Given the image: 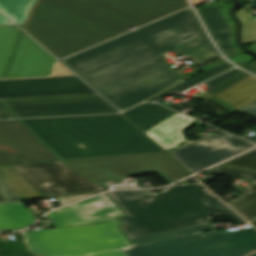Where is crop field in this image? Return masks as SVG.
I'll use <instances>...</instances> for the list:
<instances>
[{"instance_id": "cbeb9de0", "label": "crop field", "mask_w": 256, "mask_h": 256, "mask_svg": "<svg viewBox=\"0 0 256 256\" xmlns=\"http://www.w3.org/2000/svg\"><path fill=\"white\" fill-rule=\"evenodd\" d=\"M223 165L256 171V150L226 162ZM208 172L252 181L251 186L239 191L240 193H244L243 195L227 202V204L248 221L256 218V173L223 166H219Z\"/></svg>"}, {"instance_id": "120bbe31", "label": "crop field", "mask_w": 256, "mask_h": 256, "mask_svg": "<svg viewBox=\"0 0 256 256\" xmlns=\"http://www.w3.org/2000/svg\"><path fill=\"white\" fill-rule=\"evenodd\" d=\"M237 65L256 74V61L251 64L248 62H245V63H238Z\"/></svg>"}, {"instance_id": "4a817a6b", "label": "crop field", "mask_w": 256, "mask_h": 256, "mask_svg": "<svg viewBox=\"0 0 256 256\" xmlns=\"http://www.w3.org/2000/svg\"><path fill=\"white\" fill-rule=\"evenodd\" d=\"M0 194L7 201L44 197L28 184L12 165L0 166Z\"/></svg>"}, {"instance_id": "d3111659", "label": "crop field", "mask_w": 256, "mask_h": 256, "mask_svg": "<svg viewBox=\"0 0 256 256\" xmlns=\"http://www.w3.org/2000/svg\"><path fill=\"white\" fill-rule=\"evenodd\" d=\"M95 194H98V193L77 195V196H68V197H60V198H58V201L61 203V205H63V204H67V203H70V202H73V201H76V200H80V199H83V198H86V197H89V196H92V195H95Z\"/></svg>"}, {"instance_id": "4177f3b9", "label": "crop field", "mask_w": 256, "mask_h": 256, "mask_svg": "<svg viewBox=\"0 0 256 256\" xmlns=\"http://www.w3.org/2000/svg\"><path fill=\"white\" fill-rule=\"evenodd\" d=\"M233 67L234 66L225 62V63H223V64H221V65H219V66H217V67H215V68H213V69H211V70H209V71H207V72H205V73H203V74H201V75H199V76H197V77H195V78H193V79H191L187 82H184V83H182V84H180V85H178V86H176V87H174V88H172V89H170V90H168V91H166V92H164V93H162V94H160V95H158V96H156V97H154V98H152L148 101H156L165 94L180 93V92H182V91H184V90H186V89H188V88H190V87H192V86H194L198 83H201V82H203V81H205V80H207V79H209V78H211V77H213V76H215V75H217L221 72H224L228 69H231Z\"/></svg>"}, {"instance_id": "c035e120", "label": "crop field", "mask_w": 256, "mask_h": 256, "mask_svg": "<svg viewBox=\"0 0 256 256\" xmlns=\"http://www.w3.org/2000/svg\"><path fill=\"white\" fill-rule=\"evenodd\" d=\"M252 224H254V225L256 226V221L252 222ZM254 225H253V226H254Z\"/></svg>"}, {"instance_id": "5866460e", "label": "crop field", "mask_w": 256, "mask_h": 256, "mask_svg": "<svg viewBox=\"0 0 256 256\" xmlns=\"http://www.w3.org/2000/svg\"><path fill=\"white\" fill-rule=\"evenodd\" d=\"M203 1H206V0H192L193 4L196 5L198 3H201Z\"/></svg>"}, {"instance_id": "b54c1fbb", "label": "crop field", "mask_w": 256, "mask_h": 256, "mask_svg": "<svg viewBox=\"0 0 256 256\" xmlns=\"http://www.w3.org/2000/svg\"><path fill=\"white\" fill-rule=\"evenodd\" d=\"M256 44V43H255Z\"/></svg>"}, {"instance_id": "028f5c9d", "label": "crop field", "mask_w": 256, "mask_h": 256, "mask_svg": "<svg viewBox=\"0 0 256 256\" xmlns=\"http://www.w3.org/2000/svg\"><path fill=\"white\" fill-rule=\"evenodd\" d=\"M254 251H256V250H253V251H250V252H247V253H243V254H240V255H237V256H245V255L250 254V253H252Z\"/></svg>"}, {"instance_id": "e52e79f7", "label": "crop field", "mask_w": 256, "mask_h": 256, "mask_svg": "<svg viewBox=\"0 0 256 256\" xmlns=\"http://www.w3.org/2000/svg\"><path fill=\"white\" fill-rule=\"evenodd\" d=\"M169 155V154H168ZM165 152L64 161L73 170L98 182L155 172L172 183L190 175Z\"/></svg>"}, {"instance_id": "8a807250", "label": "crop field", "mask_w": 256, "mask_h": 256, "mask_svg": "<svg viewBox=\"0 0 256 256\" xmlns=\"http://www.w3.org/2000/svg\"><path fill=\"white\" fill-rule=\"evenodd\" d=\"M167 51L202 64L221 57L187 8L62 62L124 110L182 81Z\"/></svg>"}, {"instance_id": "eef30255", "label": "crop field", "mask_w": 256, "mask_h": 256, "mask_svg": "<svg viewBox=\"0 0 256 256\" xmlns=\"http://www.w3.org/2000/svg\"><path fill=\"white\" fill-rule=\"evenodd\" d=\"M247 7L237 11L238 17L243 23V43L256 40V19L245 12Z\"/></svg>"}, {"instance_id": "733c2abd", "label": "crop field", "mask_w": 256, "mask_h": 256, "mask_svg": "<svg viewBox=\"0 0 256 256\" xmlns=\"http://www.w3.org/2000/svg\"><path fill=\"white\" fill-rule=\"evenodd\" d=\"M192 121L193 119L176 113L157 126L146 131L145 134L166 151L170 147L186 140L182 134V130Z\"/></svg>"}, {"instance_id": "d8731c3e", "label": "crop field", "mask_w": 256, "mask_h": 256, "mask_svg": "<svg viewBox=\"0 0 256 256\" xmlns=\"http://www.w3.org/2000/svg\"><path fill=\"white\" fill-rule=\"evenodd\" d=\"M13 166L28 183L46 197L94 192L104 189L103 186L73 172L62 161Z\"/></svg>"}, {"instance_id": "0bd39190", "label": "crop field", "mask_w": 256, "mask_h": 256, "mask_svg": "<svg viewBox=\"0 0 256 256\" xmlns=\"http://www.w3.org/2000/svg\"><path fill=\"white\" fill-rule=\"evenodd\" d=\"M3 82H4V81H0V90H1V87H2Z\"/></svg>"}, {"instance_id": "00972430", "label": "crop field", "mask_w": 256, "mask_h": 256, "mask_svg": "<svg viewBox=\"0 0 256 256\" xmlns=\"http://www.w3.org/2000/svg\"><path fill=\"white\" fill-rule=\"evenodd\" d=\"M35 0H0V12L18 25H23L31 5ZM0 14V24H10Z\"/></svg>"}, {"instance_id": "bc2a9ffb", "label": "crop field", "mask_w": 256, "mask_h": 256, "mask_svg": "<svg viewBox=\"0 0 256 256\" xmlns=\"http://www.w3.org/2000/svg\"><path fill=\"white\" fill-rule=\"evenodd\" d=\"M210 100L236 112L256 101V77L250 75Z\"/></svg>"}, {"instance_id": "e1f06a70", "label": "crop field", "mask_w": 256, "mask_h": 256, "mask_svg": "<svg viewBox=\"0 0 256 256\" xmlns=\"http://www.w3.org/2000/svg\"><path fill=\"white\" fill-rule=\"evenodd\" d=\"M250 6L256 8V0H254Z\"/></svg>"}, {"instance_id": "5142ce71", "label": "crop field", "mask_w": 256, "mask_h": 256, "mask_svg": "<svg viewBox=\"0 0 256 256\" xmlns=\"http://www.w3.org/2000/svg\"><path fill=\"white\" fill-rule=\"evenodd\" d=\"M56 61L23 32L6 78L47 76Z\"/></svg>"}, {"instance_id": "dafd665d", "label": "crop field", "mask_w": 256, "mask_h": 256, "mask_svg": "<svg viewBox=\"0 0 256 256\" xmlns=\"http://www.w3.org/2000/svg\"><path fill=\"white\" fill-rule=\"evenodd\" d=\"M248 75L249 74L241 70L233 69L225 74H222L216 78L205 82V84L208 85L205 88H207L208 90L203 93L198 91L192 97L195 99L206 101L207 99H210L214 95L218 94L219 92L235 84L236 82L240 81Z\"/></svg>"}, {"instance_id": "d9b57169", "label": "crop field", "mask_w": 256, "mask_h": 256, "mask_svg": "<svg viewBox=\"0 0 256 256\" xmlns=\"http://www.w3.org/2000/svg\"><path fill=\"white\" fill-rule=\"evenodd\" d=\"M224 6L217 2L212 5L197 9L198 14L205 23L210 35L226 55V57L238 53L232 46V29L230 22L224 17Z\"/></svg>"}, {"instance_id": "d1516ede", "label": "crop field", "mask_w": 256, "mask_h": 256, "mask_svg": "<svg viewBox=\"0 0 256 256\" xmlns=\"http://www.w3.org/2000/svg\"><path fill=\"white\" fill-rule=\"evenodd\" d=\"M95 93L77 77L5 81L0 98Z\"/></svg>"}, {"instance_id": "730fd06b", "label": "crop field", "mask_w": 256, "mask_h": 256, "mask_svg": "<svg viewBox=\"0 0 256 256\" xmlns=\"http://www.w3.org/2000/svg\"><path fill=\"white\" fill-rule=\"evenodd\" d=\"M214 228L215 227L211 223H209V224L202 225V226H197V227H192V228H187V229H181V230H176V231H170V232L150 235V236L137 238V239H131V241L133 242L134 245H137V244H142V243H146V242L166 239V238H170V237L190 234V233L209 230V229H214Z\"/></svg>"}, {"instance_id": "5a996713", "label": "crop field", "mask_w": 256, "mask_h": 256, "mask_svg": "<svg viewBox=\"0 0 256 256\" xmlns=\"http://www.w3.org/2000/svg\"><path fill=\"white\" fill-rule=\"evenodd\" d=\"M17 118L117 113L99 95L4 100Z\"/></svg>"}, {"instance_id": "1d83c4d3", "label": "crop field", "mask_w": 256, "mask_h": 256, "mask_svg": "<svg viewBox=\"0 0 256 256\" xmlns=\"http://www.w3.org/2000/svg\"><path fill=\"white\" fill-rule=\"evenodd\" d=\"M14 118L6 106L0 101V119Z\"/></svg>"}, {"instance_id": "214f88e0", "label": "crop field", "mask_w": 256, "mask_h": 256, "mask_svg": "<svg viewBox=\"0 0 256 256\" xmlns=\"http://www.w3.org/2000/svg\"><path fill=\"white\" fill-rule=\"evenodd\" d=\"M174 113L160 105L148 103L125 111L122 114L144 132Z\"/></svg>"}, {"instance_id": "28ad6ade", "label": "crop field", "mask_w": 256, "mask_h": 256, "mask_svg": "<svg viewBox=\"0 0 256 256\" xmlns=\"http://www.w3.org/2000/svg\"><path fill=\"white\" fill-rule=\"evenodd\" d=\"M59 160L18 120L0 122V165Z\"/></svg>"}, {"instance_id": "3316defc", "label": "crop field", "mask_w": 256, "mask_h": 256, "mask_svg": "<svg viewBox=\"0 0 256 256\" xmlns=\"http://www.w3.org/2000/svg\"><path fill=\"white\" fill-rule=\"evenodd\" d=\"M254 146L256 145L219 131L169 154L194 174Z\"/></svg>"}, {"instance_id": "c21b1889", "label": "crop field", "mask_w": 256, "mask_h": 256, "mask_svg": "<svg viewBox=\"0 0 256 256\" xmlns=\"http://www.w3.org/2000/svg\"><path fill=\"white\" fill-rule=\"evenodd\" d=\"M250 256H256V253H254V254H252V255H250Z\"/></svg>"}, {"instance_id": "ae1a2a85", "label": "crop field", "mask_w": 256, "mask_h": 256, "mask_svg": "<svg viewBox=\"0 0 256 256\" xmlns=\"http://www.w3.org/2000/svg\"><path fill=\"white\" fill-rule=\"evenodd\" d=\"M239 112H242V113H245V114H249L251 116H255L256 117V102L248 105L247 107L243 108ZM252 130H256V127L253 128ZM248 139L256 143V135H254V136H252V137H250Z\"/></svg>"}, {"instance_id": "ac0d7876", "label": "crop field", "mask_w": 256, "mask_h": 256, "mask_svg": "<svg viewBox=\"0 0 256 256\" xmlns=\"http://www.w3.org/2000/svg\"><path fill=\"white\" fill-rule=\"evenodd\" d=\"M186 6V0H39L25 29L64 58Z\"/></svg>"}, {"instance_id": "a9b5d70f", "label": "crop field", "mask_w": 256, "mask_h": 256, "mask_svg": "<svg viewBox=\"0 0 256 256\" xmlns=\"http://www.w3.org/2000/svg\"><path fill=\"white\" fill-rule=\"evenodd\" d=\"M19 30L16 26L0 27V78H4Z\"/></svg>"}, {"instance_id": "bd1437ed", "label": "crop field", "mask_w": 256, "mask_h": 256, "mask_svg": "<svg viewBox=\"0 0 256 256\" xmlns=\"http://www.w3.org/2000/svg\"><path fill=\"white\" fill-rule=\"evenodd\" d=\"M62 75H73L70 73L64 66H62L59 62L56 64L54 69L53 76H62Z\"/></svg>"}, {"instance_id": "22f410ed", "label": "crop field", "mask_w": 256, "mask_h": 256, "mask_svg": "<svg viewBox=\"0 0 256 256\" xmlns=\"http://www.w3.org/2000/svg\"><path fill=\"white\" fill-rule=\"evenodd\" d=\"M121 215L124 214L104 194L58 209L45 216V218L54 220V227H67L95 224Z\"/></svg>"}, {"instance_id": "f4fd0767", "label": "crop field", "mask_w": 256, "mask_h": 256, "mask_svg": "<svg viewBox=\"0 0 256 256\" xmlns=\"http://www.w3.org/2000/svg\"><path fill=\"white\" fill-rule=\"evenodd\" d=\"M114 219L98 225L23 232L33 252L42 256H79L131 246Z\"/></svg>"}, {"instance_id": "92a150f3", "label": "crop field", "mask_w": 256, "mask_h": 256, "mask_svg": "<svg viewBox=\"0 0 256 256\" xmlns=\"http://www.w3.org/2000/svg\"><path fill=\"white\" fill-rule=\"evenodd\" d=\"M36 221L20 202L0 204V231L25 228Z\"/></svg>"}, {"instance_id": "dd49c442", "label": "crop field", "mask_w": 256, "mask_h": 256, "mask_svg": "<svg viewBox=\"0 0 256 256\" xmlns=\"http://www.w3.org/2000/svg\"><path fill=\"white\" fill-rule=\"evenodd\" d=\"M254 228V227H253ZM253 228L199 232L123 249L127 256H234L256 249Z\"/></svg>"}, {"instance_id": "34b2d1b8", "label": "crop field", "mask_w": 256, "mask_h": 256, "mask_svg": "<svg viewBox=\"0 0 256 256\" xmlns=\"http://www.w3.org/2000/svg\"><path fill=\"white\" fill-rule=\"evenodd\" d=\"M111 198L127 215L119 218L128 238L197 226L210 216L225 213L234 222H246L200 183L174 185L161 193L114 191Z\"/></svg>"}, {"instance_id": "03da06ac", "label": "crop field", "mask_w": 256, "mask_h": 256, "mask_svg": "<svg viewBox=\"0 0 256 256\" xmlns=\"http://www.w3.org/2000/svg\"><path fill=\"white\" fill-rule=\"evenodd\" d=\"M248 1H251V0H247L246 2H248Z\"/></svg>"}, {"instance_id": "d32e631a", "label": "crop field", "mask_w": 256, "mask_h": 256, "mask_svg": "<svg viewBox=\"0 0 256 256\" xmlns=\"http://www.w3.org/2000/svg\"><path fill=\"white\" fill-rule=\"evenodd\" d=\"M249 59H251L250 56H247V55H245V54H241V55H238V56H236V57L230 59V61H232L233 63H237V62L247 61V60H249Z\"/></svg>"}, {"instance_id": "750c4746", "label": "crop field", "mask_w": 256, "mask_h": 256, "mask_svg": "<svg viewBox=\"0 0 256 256\" xmlns=\"http://www.w3.org/2000/svg\"><path fill=\"white\" fill-rule=\"evenodd\" d=\"M85 256H126V255L122 253L120 249H117V250L99 252V253L85 255Z\"/></svg>"}, {"instance_id": "412701ff", "label": "crop field", "mask_w": 256, "mask_h": 256, "mask_svg": "<svg viewBox=\"0 0 256 256\" xmlns=\"http://www.w3.org/2000/svg\"><path fill=\"white\" fill-rule=\"evenodd\" d=\"M20 121L62 159L162 151L120 114Z\"/></svg>"}, {"instance_id": "b80d0937", "label": "crop field", "mask_w": 256, "mask_h": 256, "mask_svg": "<svg viewBox=\"0 0 256 256\" xmlns=\"http://www.w3.org/2000/svg\"><path fill=\"white\" fill-rule=\"evenodd\" d=\"M2 201H5V200L0 196V202H2Z\"/></svg>"}]
</instances>
